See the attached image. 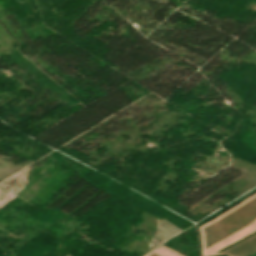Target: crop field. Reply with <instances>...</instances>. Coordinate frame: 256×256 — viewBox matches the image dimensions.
<instances>
[{
    "mask_svg": "<svg viewBox=\"0 0 256 256\" xmlns=\"http://www.w3.org/2000/svg\"><path fill=\"white\" fill-rule=\"evenodd\" d=\"M256 251V235L220 253L228 256H248Z\"/></svg>",
    "mask_w": 256,
    "mask_h": 256,
    "instance_id": "8a807250",
    "label": "crop field"
}]
</instances>
